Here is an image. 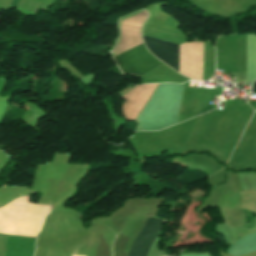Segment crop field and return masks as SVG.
Wrapping results in <instances>:
<instances>
[{"label": "crop field", "mask_w": 256, "mask_h": 256, "mask_svg": "<svg viewBox=\"0 0 256 256\" xmlns=\"http://www.w3.org/2000/svg\"><path fill=\"white\" fill-rule=\"evenodd\" d=\"M143 41L152 54L178 71L179 45L145 36Z\"/></svg>", "instance_id": "3"}, {"label": "crop field", "mask_w": 256, "mask_h": 256, "mask_svg": "<svg viewBox=\"0 0 256 256\" xmlns=\"http://www.w3.org/2000/svg\"><path fill=\"white\" fill-rule=\"evenodd\" d=\"M18 1L19 0H13V2H12V4H11V6H10V8H9V10H11V9H16V6H17V3H18Z\"/></svg>", "instance_id": "4"}, {"label": "crop field", "mask_w": 256, "mask_h": 256, "mask_svg": "<svg viewBox=\"0 0 256 256\" xmlns=\"http://www.w3.org/2000/svg\"><path fill=\"white\" fill-rule=\"evenodd\" d=\"M176 256H179V255H176Z\"/></svg>", "instance_id": "6"}, {"label": "crop field", "mask_w": 256, "mask_h": 256, "mask_svg": "<svg viewBox=\"0 0 256 256\" xmlns=\"http://www.w3.org/2000/svg\"><path fill=\"white\" fill-rule=\"evenodd\" d=\"M165 220L148 217L137 234L128 256H146L149 246Z\"/></svg>", "instance_id": "2"}, {"label": "crop field", "mask_w": 256, "mask_h": 256, "mask_svg": "<svg viewBox=\"0 0 256 256\" xmlns=\"http://www.w3.org/2000/svg\"><path fill=\"white\" fill-rule=\"evenodd\" d=\"M122 73L142 76L163 64L152 56L144 45H140L113 58Z\"/></svg>", "instance_id": "1"}, {"label": "crop field", "mask_w": 256, "mask_h": 256, "mask_svg": "<svg viewBox=\"0 0 256 256\" xmlns=\"http://www.w3.org/2000/svg\"><path fill=\"white\" fill-rule=\"evenodd\" d=\"M252 93H256V82H254L253 86H252Z\"/></svg>", "instance_id": "5"}]
</instances>
